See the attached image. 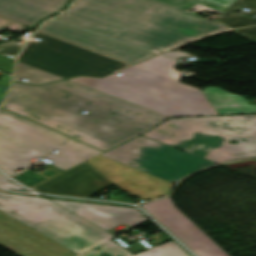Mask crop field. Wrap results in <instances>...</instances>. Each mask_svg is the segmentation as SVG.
<instances>
[{
	"mask_svg": "<svg viewBox=\"0 0 256 256\" xmlns=\"http://www.w3.org/2000/svg\"><path fill=\"white\" fill-rule=\"evenodd\" d=\"M49 197V196H46ZM50 198H58V199H66V200H75V201H84V202H93V203H103V204H112V205H121V206H128L122 204H114V203H106V202H97V201H89V200H79V199H69V198H59V197H50ZM132 207V206H130Z\"/></svg>",
	"mask_w": 256,
	"mask_h": 256,
	"instance_id": "obj_26",
	"label": "crop field"
},
{
	"mask_svg": "<svg viewBox=\"0 0 256 256\" xmlns=\"http://www.w3.org/2000/svg\"><path fill=\"white\" fill-rule=\"evenodd\" d=\"M119 73L123 75L69 80L167 117L216 114L201 90L135 66Z\"/></svg>",
	"mask_w": 256,
	"mask_h": 256,
	"instance_id": "obj_6",
	"label": "crop field"
},
{
	"mask_svg": "<svg viewBox=\"0 0 256 256\" xmlns=\"http://www.w3.org/2000/svg\"><path fill=\"white\" fill-rule=\"evenodd\" d=\"M21 78L29 80L28 82H23V83H29V84H35V85L63 79L61 77L41 71L39 69H36L34 67H31L29 65H26L18 61L14 81L22 82L20 81Z\"/></svg>",
	"mask_w": 256,
	"mask_h": 256,
	"instance_id": "obj_17",
	"label": "crop field"
},
{
	"mask_svg": "<svg viewBox=\"0 0 256 256\" xmlns=\"http://www.w3.org/2000/svg\"><path fill=\"white\" fill-rule=\"evenodd\" d=\"M112 185L87 161L31 188L35 191L86 198Z\"/></svg>",
	"mask_w": 256,
	"mask_h": 256,
	"instance_id": "obj_13",
	"label": "crop field"
},
{
	"mask_svg": "<svg viewBox=\"0 0 256 256\" xmlns=\"http://www.w3.org/2000/svg\"><path fill=\"white\" fill-rule=\"evenodd\" d=\"M0 244L19 256H76L2 211H0Z\"/></svg>",
	"mask_w": 256,
	"mask_h": 256,
	"instance_id": "obj_11",
	"label": "crop field"
},
{
	"mask_svg": "<svg viewBox=\"0 0 256 256\" xmlns=\"http://www.w3.org/2000/svg\"><path fill=\"white\" fill-rule=\"evenodd\" d=\"M3 108L103 151L167 118L69 80L40 87L13 82Z\"/></svg>",
	"mask_w": 256,
	"mask_h": 256,
	"instance_id": "obj_1",
	"label": "crop field"
},
{
	"mask_svg": "<svg viewBox=\"0 0 256 256\" xmlns=\"http://www.w3.org/2000/svg\"><path fill=\"white\" fill-rule=\"evenodd\" d=\"M170 183L215 164L149 139L138 137L100 155Z\"/></svg>",
	"mask_w": 256,
	"mask_h": 256,
	"instance_id": "obj_8",
	"label": "crop field"
},
{
	"mask_svg": "<svg viewBox=\"0 0 256 256\" xmlns=\"http://www.w3.org/2000/svg\"><path fill=\"white\" fill-rule=\"evenodd\" d=\"M20 27H21L20 25L15 24V25H13V26L7 28V29L14 31V30H16V29H18V28H20Z\"/></svg>",
	"mask_w": 256,
	"mask_h": 256,
	"instance_id": "obj_30",
	"label": "crop field"
},
{
	"mask_svg": "<svg viewBox=\"0 0 256 256\" xmlns=\"http://www.w3.org/2000/svg\"><path fill=\"white\" fill-rule=\"evenodd\" d=\"M25 43L26 42L18 46L13 40L8 44H0V54L4 56L10 55L16 57Z\"/></svg>",
	"mask_w": 256,
	"mask_h": 256,
	"instance_id": "obj_22",
	"label": "crop field"
},
{
	"mask_svg": "<svg viewBox=\"0 0 256 256\" xmlns=\"http://www.w3.org/2000/svg\"><path fill=\"white\" fill-rule=\"evenodd\" d=\"M202 91L217 114L256 113V105H250L241 96L227 93L217 87H205Z\"/></svg>",
	"mask_w": 256,
	"mask_h": 256,
	"instance_id": "obj_16",
	"label": "crop field"
},
{
	"mask_svg": "<svg viewBox=\"0 0 256 256\" xmlns=\"http://www.w3.org/2000/svg\"><path fill=\"white\" fill-rule=\"evenodd\" d=\"M142 136L215 163L254 157L256 115L170 119Z\"/></svg>",
	"mask_w": 256,
	"mask_h": 256,
	"instance_id": "obj_5",
	"label": "crop field"
},
{
	"mask_svg": "<svg viewBox=\"0 0 256 256\" xmlns=\"http://www.w3.org/2000/svg\"><path fill=\"white\" fill-rule=\"evenodd\" d=\"M35 37L42 39L41 42H30L19 61L64 78L75 75L104 77L128 66L40 32H36Z\"/></svg>",
	"mask_w": 256,
	"mask_h": 256,
	"instance_id": "obj_7",
	"label": "crop field"
},
{
	"mask_svg": "<svg viewBox=\"0 0 256 256\" xmlns=\"http://www.w3.org/2000/svg\"><path fill=\"white\" fill-rule=\"evenodd\" d=\"M9 83H10V82H0V84L5 85V86H7V87L9 86Z\"/></svg>",
	"mask_w": 256,
	"mask_h": 256,
	"instance_id": "obj_32",
	"label": "crop field"
},
{
	"mask_svg": "<svg viewBox=\"0 0 256 256\" xmlns=\"http://www.w3.org/2000/svg\"><path fill=\"white\" fill-rule=\"evenodd\" d=\"M53 149L61 152L46 156L55 161L52 167L39 174L28 170L14 179L30 188L103 153L0 108V169L5 173L13 176V170L34 165L31 159Z\"/></svg>",
	"mask_w": 256,
	"mask_h": 256,
	"instance_id": "obj_4",
	"label": "crop field"
},
{
	"mask_svg": "<svg viewBox=\"0 0 256 256\" xmlns=\"http://www.w3.org/2000/svg\"><path fill=\"white\" fill-rule=\"evenodd\" d=\"M54 19L148 49L163 50L224 26L147 0H77Z\"/></svg>",
	"mask_w": 256,
	"mask_h": 256,
	"instance_id": "obj_2",
	"label": "crop field"
},
{
	"mask_svg": "<svg viewBox=\"0 0 256 256\" xmlns=\"http://www.w3.org/2000/svg\"><path fill=\"white\" fill-rule=\"evenodd\" d=\"M0 189L30 192V191L22 188L18 184L14 183L13 181L9 180L2 173H0Z\"/></svg>",
	"mask_w": 256,
	"mask_h": 256,
	"instance_id": "obj_23",
	"label": "crop field"
},
{
	"mask_svg": "<svg viewBox=\"0 0 256 256\" xmlns=\"http://www.w3.org/2000/svg\"><path fill=\"white\" fill-rule=\"evenodd\" d=\"M40 31L134 65L156 54L52 20Z\"/></svg>",
	"mask_w": 256,
	"mask_h": 256,
	"instance_id": "obj_10",
	"label": "crop field"
},
{
	"mask_svg": "<svg viewBox=\"0 0 256 256\" xmlns=\"http://www.w3.org/2000/svg\"><path fill=\"white\" fill-rule=\"evenodd\" d=\"M13 24H15V23L0 18V30L4 29V28H6V27H9V26H11V25H13Z\"/></svg>",
	"mask_w": 256,
	"mask_h": 256,
	"instance_id": "obj_27",
	"label": "crop field"
},
{
	"mask_svg": "<svg viewBox=\"0 0 256 256\" xmlns=\"http://www.w3.org/2000/svg\"><path fill=\"white\" fill-rule=\"evenodd\" d=\"M52 201L105 230L122 223L133 227L147 220V218L138 209L135 208L65 202L57 200Z\"/></svg>",
	"mask_w": 256,
	"mask_h": 256,
	"instance_id": "obj_14",
	"label": "crop field"
},
{
	"mask_svg": "<svg viewBox=\"0 0 256 256\" xmlns=\"http://www.w3.org/2000/svg\"><path fill=\"white\" fill-rule=\"evenodd\" d=\"M0 210L78 256H133L109 240L113 235L48 199L0 192ZM135 256L190 255L172 241Z\"/></svg>",
	"mask_w": 256,
	"mask_h": 256,
	"instance_id": "obj_3",
	"label": "crop field"
},
{
	"mask_svg": "<svg viewBox=\"0 0 256 256\" xmlns=\"http://www.w3.org/2000/svg\"><path fill=\"white\" fill-rule=\"evenodd\" d=\"M14 60L0 55V70L12 73Z\"/></svg>",
	"mask_w": 256,
	"mask_h": 256,
	"instance_id": "obj_24",
	"label": "crop field"
},
{
	"mask_svg": "<svg viewBox=\"0 0 256 256\" xmlns=\"http://www.w3.org/2000/svg\"><path fill=\"white\" fill-rule=\"evenodd\" d=\"M239 9H241V7H239L235 12H237ZM240 16H244V15H240L238 13H236V16L235 17H240ZM234 17V18H235ZM224 18L220 15L218 18H216L215 20L216 21H219V20H223Z\"/></svg>",
	"mask_w": 256,
	"mask_h": 256,
	"instance_id": "obj_29",
	"label": "crop field"
},
{
	"mask_svg": "<svg viewBox=\"0 0 256 256\" xmlns=\"http://www.w3.org/2000/svg\"><path fill=\"white\" fill-rule=\"evenodd\" d=\"M168 5L187 10L195 3L219 10L223 12L235 0H157Z\"/></svg>",
	"mask_w": 256,
	"mask_h": 256,
	"instance_id": "obj_19",
	"label": "crop field"
},
{
	"mask_svg": "<svg viewBox=\"0 0 256 256\" xmlns=\"http://www.w3.org/2000/svg\"><path fill=\"white\" fill-rule=\"evenodd\" d=\"M197 256H228L179 212L170 197L140 205Z\"/></svg>",
	"mask_w": 256,
	"mask_h": 256,
	"instance_id": "obj_9",
	"label": "crop field"
},
{
	"mask_svg": "<svg viewBox=\"0 0 256 256\" xmlns=\"http://www.w3.org/2000/svg\"><path fill=\"white\" fill-rule=\"evenodd\" d=\"M7 89H8L7 87L0 85V103L4 99Z\"/></svg>",
	"mask_w": 256,
	"mask_h": 256,
	"instance_id": "obj_28",
	"label": "crop field"
},
{
	"mask_svg": "<svg viewBox=\"0 0 256 256\" xmlns=\"http://www.w3.org/2000/svg\"><path fill=\"white\" fill-rule=\"evenodd\" d=\"M238 34L256 42V27L235 31Z\"/></svg>",
	"mask_w": 256,
	"mask_h": 256,
	"instance_id": "obj_25",
	"label": "crop field"
},
{
	"mask_svg": "<svg viewBox=\"0 0 256 256\" xmlns=\"http://www.w3.org/2000/svg\"><path fill=\"white\" fill-rule=\"evenodd\" d=\"M99 172L120 189L150 200L170 193V183L144 172L96 156L88 160Z\"/></svg>",
	"mask_w": 256,
	"mask_h": 256,
	"instance_id": "obj_12",
	"label": "crop field"
},
{
	"mask_svg": "<svg viewBox=\"0 0 256 256\" xmlns=\"http://www.w3.org/2000/svg\"><path fill=\"white\" fill-rule=\"evenodd\" d=\"M219 23L231 30H234V29L256 26V19L245 16L241 18L223 20V21H220Z\"/></svg>",
	"mask_w": 256,
	"mask_h": 256,
	"instance_id": "obj_20",
	"label": "crop field"
},
{
	"mask_svg": "<svg viewBox=\"0 0 256 256\" xmlns=\"http://www.w3.org/2000/svg\"><path fill=\"white\" fill-rule=\"evenodd\" d=\"M68 0H0V16L32 27L63 8Z\"/></svg>",
	"mask_w": 256,
	"mask_h": 256,
	"instance_id": "obj_15",
	"label": "crop field"
},
{
	"mask_svg": "<svg viewBox=\"0 0 256 256\" xmlns=\"http://www.w3.org/2000/svg\"><path fill=\"white\" fill-rule=\"evenodd\" d=\"M239 6L245 7L256 12V0H236L228 9H226L223 12L222 16L224 18L234 17V11Z\"/></svg>",
	"mask_w": 256,
	"mask_h": 256,
	"instance_id": "obj_21",
	"label": "crop field"
},
{
	"mask_svg": "<svg viewBox=\"0 0 256 256\" xmlns=\"http://www.w3.org/2000/svg\"><path fill=\"white\" fill-rule=\"evenodd\" d=\"M192 8H204V9H210V8H207V7H204V6L198 5V4L194 5ZM192 8H191V9H192ZM210 10H213V9H210ZM215 11H216V10H215Z\"/></svg>",
	"mask_w": 256,
	"mask_h": 256,
	"instance_id": "obj_31",
	"label": "crop field"
},
{
	"mask_svg": "<svg viewBox=\"0 0 256 256\" xmlns=\"http://www.w3.org/2000/svg\"><path fill=\"white\" fill-rule=\"evenodd\" d=\"M174 62L175 61L157 56L155 58H152L150 60L137 64L135 66H138L140 68L149 70L151 72H154L178 81L179 77L176 75V73L173 70H171V66Z\"/></svg>",
	"mask_w": 256,
	"mask_h": 256,
	"instance_id": "obj_18",
	"label": "crop field"
}]
</instances>
